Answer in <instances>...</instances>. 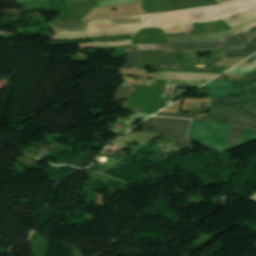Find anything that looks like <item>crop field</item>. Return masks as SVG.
I'll return each mask as SVG.
<instances>
[{
	"instance_id": "12",
	"label": "crop field",
	"mask_w": 256,
	"mask_h": 256,
	"mask_svg": "<svg viewBox=\"0 0 256 256\" xmlns=\"http://www.w3.org/2000/svg\"><path fill=\"white\" fill-rule=\"evenodd\" d=\"M156 79L171 80H211L216 75H200V74H174V73H156Z\"/></svg>"
},
{
	"instance_id": "20",
	"label": "crop field",
	"mask_w": 256,
	"mask_h": 256,
	"mask_svg": "<svg viewBox=\"0 0 256 256\" xmlns=\"http://www.w3.org/2000/svg\"><path fill=\"white\" fill-rule=\"evenodd\" d=\"M177 148L190 146L186 137L171 135Z\"/></svg>"
},
{
	"instance_id": "7",
	"label": "crop field",
	"mask_w": 256,
	"mask_h": 256,
	"mask_svg": "<svg viewBox=\"0 0 256 256\" xmlns=\"http://www.w3.org/2000/svg\"><path fill=\"white\" fill-rule=\"evenodd\" d=\"M197 121L244 126L256 132V120L235 108L228 111L209 114Z\"/></svg>"
},
{
	"instance_id": "24",
	"label": "crop field",
	"mask_w": 256,
	"mask_h": 256,
	"mask_svg": "<svg viewBox=\"0 0 256 256\" xmlns=\"http://www.w3.org/2000/svg\"><path fill=\"white\" fill-rule=\"evenodd\" d=\"M256 59V55L253 56L252 58H250L249 60H247L250 64Z\"/></svg>"
},
{
	"instance_id": "16",
	"label": "crop field",
	"mask_w": 256,
	"mask_h": 256,
	"mask_svg": "<svg viewBox=\"0 0 256 256\" xmlns=\"http://www.w3.org/2000/svg\"><path fill=\"white\" fill-rule=\"evenodd\" d=\"M132 40L122 41V42H110V43H89L81 45V48H93V47H103V46H122V45H131Z\"/></svg>"
},
{
	"instance_id": "10",
	"label": "crop field",
	"mask_w": 256,
	"mask_h": 256,
	"mask_svg": "<svg viewBox=\"0 0 256 256\" xmlns=\"http://www.w3.org/2000/svg\"><path fill=\"white\" fill-rule=\"evenodd\" d=\"M139 29H123V30H115V31H104V32H96V33H76V34H61L54 35L52 39H68V38H88V37H96L103 35H121V34H132L137 32Z\"/></svg>"
},
{
	"instance_id": "2",
	"label": "crop field",
	"mask_w": 256,
	"mask_h": 256,
	"mask_svg": "<svg viewBox=\"0 0 256 256\" xmlns=\"http://www.w3.org/2000/svg\"><path fill=\"white\" fill-rule=\"evenodd\" d=\"M256 78L249 80V81H242V82H218V81H212L211 83L203 86L202 88H206V89H211V102H212V109L211 112L215 111V100L216 102H221V101H227V100H231L241 94H244L254 88H256ZM254 83V84H252ZM252 84V85H249ZM249 85V86H247ZM247 86V87H244ZM244 87V88H242ZM242 88V89H240ZM240 89V90H238ZM238 90V91H236ZM236 91V92H234ZM234 92V93H232ZM232 93V94H230ZM230 94V95H228ZM223 95H228V96H224V97H217V96H223ZM256 98V89L241 95L231 101H227V102H221V103H216V111L218 110H224V109H228L231 108L233 106L239 105L241 103L247 102L251 99Z\"/></svg>"
},
{
	"instance_id": "3",
	"label": "crop field",
	"mask_w": 256,
	"mask_h": 256,
	"mask_svg": "<svg viewBox=\"0 0 256 256\" xmlns=\"http://www.w3.org/2000/svg\"><path fill=\"white\" fill-rule=\"evenodd\" d=\"M256 33V27L249 31L236 35L230 38L209 41V42H196V43H184L174 44L176 51H202V50H213V49H229L246 46V44L252 39ZM172 45H138L139 50H164V51H175ZM137 46L131 47L128 50H138Z\"/></svg>"
},
{
	"instance_id": "14",
	"label": "crop field",
	"mask_w": 256,
	"mask_h": 256,
	"mask_svg": "<svg viewBox=\"0 0 256 256\" xmlns=\"http://www.w3.org/2000/svg\"><path fill=\"white\" fill-rule=\"evenodd\" d=\"M246 128L233 126L228 138V146L239 144Z\"/></svg>"
},
{
	"instance_id": "17",
	"label": "crop field",
	"mask_w": 256,
	"mask_h": 256,
	"mask_svg": "<svg viewBox=\"0 0 256 256\" xmlns=\"http://www.w3.org/2000/svg\"><path fill=\"white\" fill-rule=\"evenodd\" d=\"M94 156V154L91 152L87 153L86 155L82 156L78 160L70 163L69 165H73L76 167H79L81 169L86 168V165L90 164L91 162L89 161L90 157Z\"/></svg>"
},
{
	"instance_id": "1",
	"label": "crop field",
	"mask_w": 256,
	"mask_h": 256,
	"mask_svg": "<svg viewBox=\"0 0 256 256\" xmlns=\"http://www.w3.org/2000/svg\"><path fill=\"white\" fill-rule=\"evenodd\" d=\"M256 5V0H236L216 6L186 9L161 14H149L147 27L168 26L190 21H212L243 12Z\"/></svg>"
},
{
	"instance_id": "21",
	"label": "crop field",
	"mask_w": 256,
	"mask_h": 256,
	"mask_svg": "<svg viewBox=\"0 0 256 256\" xmlns=\"http://www.w3.org/2000/svg\"><path fill=\"white\" fill-rule=\"evenodd\" d=\"M252 101H254L255 104H256V99H254V100H252ZM252 101H249V102H247V103H245V104H243V105H241V106H239V107H237V108H239V109H241V110L247 112L248 114H250L251 116H253L254 118H256V116H255V115H256V106H255L254 102L251 103V104H249V105H247V106H245V107H243V108L246 109V110H248V111H250V112H252V113L255 114V115H253L252 113H250V112H248V111H246V110H244V109L241 108L242 106H244V105H246V104H248V103H250V102H252Z\"/></svg>"
},
{
	"instance_id": "13",
	"label": "crop field",
	"mask_w": 256,
	"mask_h": 256,
	"mask_svg": "<svg viewBox=\"0 0 256 256\" xmlns=\"http://www.w3.org/2000/svg\"><path fill=\"white\" fill-rule=\"evenodd\" d=\"M254 53H256V35L253 37V39L248 43V45L243 50L224 52V54L228 58H239L241 56L247 58Z\"/></svg>"
},
{
	"instance_id": "15",
	"label": "crop field",
	"mask_w": 256,
	"mask_h": 256,
	"mask_svg": "<svg viewBox=\"0 0 256 256\" xmlns=\"http://www.w3.org/2000/svg\"><path fill=\"white\" fill-rule=\"evenodd\" d=\"M162 29L166 32V34L186 33L193 30V24L188 23V24H182V25H177V26H172V27L162 28Z\"/></svg>"
},
{
	"instance_id": "23",
	"label": "crop field",
	"mask_w": 256,
	"mask_h": 256,
	"mask_svg": "<svg viewBox=\"0 0 256 256\" xmlns=\"http://www.w3.org/2000/svg\"><path fill=\"white\" fill-rule=\"evenodd\" d=\"M122 134H118V135H116L115 137H113L111 140H109L108 142H106V145H105V147L106 146H108L110 143H112L115 139H117L119 136H121Z\"/></svg>"
},
{
	"instance_id": "19",
	"label": "crop field",
	"mask_w": 256,
	"mask_h": 256,
	"mask_svg": "<svg viewBox=\"0 0 256 256\" xmlns=\"http://www.w3.org/2000/svg\"><path fill=\"white\" fill-rule=\"evenodd\" d=\"M197 115H198V113H179V114L159 113V114H157L155 116H173V117L195 119V118H197Z\"/></svg>"
},
{
	"instance_id": "9",
	"label": "crop field",
	"mask_w": 256,
	"mask_h": 256,
	"mask_svg": "<svg viewBox=\"0 0 256 256\" xmlns=\"http://www.w3.org/2000/svg\"><path fill=\"white\" fill-rule=\"evenodd\" d=\"M242 49V48H238ZM235 50V49H230ZM228 51V50H215L211 51V55L204 58H198L197 52H178V64H196V65H203L207 61L211 60L218 54ZM205 65V64H204Z\"/></svg>"
},
{
	"instance_id": "25",
	"label": "crop field",
	"mask_w": 256,
	"mask_h": 256,
	"mask_svg": "<svg viewBox=\"0 0 256 256\" xmlns=\"http://www.w3.org/2000/svg\"><path fill=\"white\" fill-rule=\"evenodd\" d=\"M219 3H223V2H226V1H229V0H217Z\"/></svg>"
},
{
	"instance_id": "8",
	"label": "crop field",
	"mask_w": 256,
	"mask_h": 256,
	"mask_svg": "<svg viewBox=\"0 0 256 256\" xmlns=\"http://www.w3.org/2000/svg\"><path fill=\"white\" fill-rule=\"evenodd\" d=\"M190 122L191 120L152 117L146 121L143 131L186 136ZM148 126L157 127V131L148 130Z\"/></svg>"
},
{
	"instance_id": "22",
	"label": "crop field",
	"mask_w": 256,
	"mask_h": 256,
	"mask_svg": "<svg viewBox=\"0 0 256 256\" xmlns=\"http://www.w3.org/2000/svg\"><path fill=\"white\" fill-rule=\"evenodd\" d=\"M222 59L219 56H217L215 59L211 60L210 62L206 63L205 65H209V66H214L216 65L218 62H220Z\"/></svg>"
},
{
	"instance_id": "5",
	"label": "crop field",
	"mask_w": 256,
	"mask_h": 256,
	"mask_svg": "<svg viewBox=\"0 0 256 256\" xmlns=\"http://www.w3.org/2000/svg\"><path fill=\"white\" fill-rule=\"evenodd\" d=\"M232 126L192 121L188 136H193L218 152H223Z\"/></svg>"
},
{
	"instance_id": "26",
	"label": "crop field",
	"mask_w": 256,
	"mask_h": 256,
	"mask_svg": "<svg viewBox=\"0 0 256 256\" xmlns=\"http://www.w3.org/2000/svg\"><path fill=\"white\" fill-rule=\"evenodd\" d=\"M251 199L256 200V194L251 197Z\"/></svg>"
},
{
	"instance_id": "4",
	"label": "crop field",
	"mask_w": 256,
	"mask_h": 256,
	"mask_svg": "<svg viewBox=\"0 0 256 256\" xmlns=\"http://www.w3.org/2000/svg\"><path fill=\"white\" fill-rule=\"evenodd\" d=\"M141 20H142V16H138V17L114 19V22L115 24H119V23L132 24V23H141ZM114 22L113 20L91 22L90 31H103V30L120 29V28H127V27H145L146 15L143 16L142 24L114 25ZM49 25L56 31V33L85 32V31H89L90 21L89 22L49 23Z\"/></svg>"
},
{
	"instance_id": "18",
	"label": "crop field",
	"mask_w": 256,
	"mask_h": 256,
	"mask_svg": "<svg viewBox=\"0 0 256 256\" xmlns=\"http://www.w3.org/2000/svg\"><path fill=\"white\" fill-rule=\"evenodd\" d=\"M128 64L124 68H134L137 66L138 60V51H127Z\"/></svg>"
},
{
	"instance_id": "11",
	"label": "crop field",
	"mask_w": 256,
	"mask_h": 256,
	"mask_svg": "<svg viewBox=\"0 0 256 256\" xmlns=\"http://www.w3.org/2000/svg\"><path fill=\"white\" fill-rule=\"evenodd\" d=\"M228 68H210V67H176L160 66L161 71L166 72H188V73H217L221 74Z\"/></svg>"
},
{
	"instance_id": "6",
	"label": "crop field",
	"mask_w": 256,
	"mask_h": 256,
	"mask_svg": "<svg viewBox=\"0 0 256 256\" xmlns=\"http://www.w3.org/2000/svg\"><path fill=\"white\" fill-rule=\"evenodd\" d=\"M235 16V15H234ZM234 16L224 19L233 30L225 33L197 35L189 37H176L168 38L169 43H180V42H193V41H207L213 39L226 38L238 33H242L254 26H256V7L248 10L247 12L238 14V20H234Z\"/></svg>"
}]
</instances>
